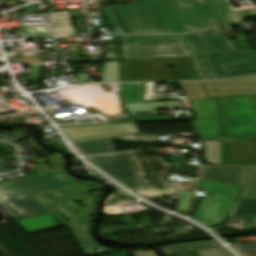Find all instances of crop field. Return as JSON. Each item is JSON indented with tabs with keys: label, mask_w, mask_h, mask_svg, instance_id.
<instances>
[{
	"label": "crop field",
	"mask_w": 256,
	"mask_h": 256,
	"mask_svg": "<svg viewBox=\"0 0 256 256\" xmlns=\"http://www.w3.org/2000/svg\"><path fill=\"white\" fill-rule=\"evenodd\" d=\"M84 155L115 152L110 140L75 145Z\"/></svg>",
	"instance_id": "bc2a9ffb"
},
{
	"label": "crop field",
	"mask_w": 256,
	"mask_h": 256,
	"mask_svg": "<svg viewBox=\"0 0 256 256\" xmlns=\"http://www.w3.org/2000/svg\"><path fill=\"white\" fill-rule=\"evenodd\" d=\"M147 174H148V178L151 186L160 184L157 172H152Z\"/></svg>",
	"instance_id": "ae1a2a85"
},
{
	"label": "crop field",
	"mask_w": 256,
	"mask_h": 256,
	"mask_svg": "<svg viewBox=\"0 0 256 256\" xmlns=\"http://www.w3.org/2000/svg\"><path fill=\"white\" fill-rule=\"evenodd\" d=\"M191 122L202 140L221 138L219 119Z\"/></svg>",
	"instance_id": "d9b57169"
},
{
	"label": "crop field",
	"mask_w": 256,
	"mask_h": 256,
	"mask_svg": "<svg viewBox=\"0 0 256 256\" xmlns=\"http://www.w3.org/2000/svg\"><path fill=\"white\" fill-rule=\"evenodd\" d=\"M250 167H203L202 179L242 187Z\"/></svg>",
	"instance_id": "28ad6ade"
},
{
	"label": "crop field",
	"mask_w": 256,
	"mask_h": 256,
	"mask_svg": "<svg viewBox=\"0 0 256 256\" xmlns=\"http://www.w3.org/2000/svg\"><path fill=\"white\" fill-rule=\"evenodd\" d=\"M204 86L210 97L256 95V78L207 81Z\"/></svg>",
	"instance_id": "3316defc"
},
{
	"label": "crop field",
	"mask_w": 256,
	"mask_h": 256,
	"mask_svg": "<svg viewBox=\"0 0 256 256\" xmlns=\"http://www.w3.org/2000/svg\"><path fill=\"white\" fill-rule=\"evenodd\" d=\"M141 196L148 198V197H154V196H160V195H168V194H174V187L173 186H165L163 189L158 190L157 188L147 189V190H139L136 191Z\"/></svg>",
	"instance_id": "a9b5d70f"
},
{
	"label": "crop field",
	"mask_w": 256,
	"mask_h": 256,
	"mask_svg": "<svg viewBox=\"0 0 256 256\" xmlns=\"http://www.w3.org/2000/svg\"><path fill=\"white\" fill-rule=\"evenodd\" d=\"M216 246H220V245L215 240H211V241H204V242L184 244V245L164 246L159 248L164 251L166 256H176V255L192 252L193 249L216 247Z\"/></svg>",
	"instance_id": "733c2abd"
},
{
	"label": "crop field",
	"mask_w": 256,
	"mask_h": 256,
	"mask_svg": "<svg viewBox=\"0 0 256 256\" xmlns=\"http://www.w3.org/2000/svg\"><path fill=\"white\" fill-rule=\"evenodd\" d=\"M97 141V140H96ZM86 142H90V141H86ZM78 143H84V142H78ZM78 143H75V144H78Z\"/></svg>",
	"instance_id": "1d83c4d3"
},
{
	"label": "crop field",
	"mask_w": 256,
	"mask_h": 256,
	"mask_svg": "<svg viewBox=\"0 0 256 256\" xmlns=\"http://www.w3.org/2000/svg\"><path fill=\"white\" fill-rule=\"evenodd\" d=\"M167 146H172V147H182V148H190L188 144H168Z\"/></svg>",
	"instance_id": "bd1437ed"
},
{
	"label": "crop field",
	"mask_w": 256,
	"mask_h": 256,
	"mask_svg": "<svg viewBox=\"0 0 256 256\" xmlns=\"http://www.w3.org/2000/svg\"><path fill=\"white\" fill-rule=\"evenodd\" d=\"M28 233L60 226L50 214L17 221Z\"/></svg>",
	"instance_id": "22f410ed"
},
{
	"label": "crop field",
	"mask_w": 256,
	"mask_h": 256,
	"mask_svg": "<svg viewBox=\"0 0 256 256\" xmlns=\"http://www.w3.org/2000/svg\"><path fill=\"white\" fill-rule=\"evenodd\" d=\"M173 165H187L186 157H173Z\"/></svg>",
	"instance_id": "d3111659"
},
{
	"label": "crop field",
	"mask_w": 256,
	"mask_h": 256,
	"mask_svg": "<svg viewBox=\"0 0 256 256\" xmlns=\"http://www.w3.org/2000/svg\"><path fill=\"white\" fill-rule=\"evenodd\" d=\"M199 168L197 167H174L173 171L179 173L197 174Z\"/></svg>",
	"instance_id": "eef30255"
},
{
	"label": "crop field",
	"mask_w": 256,
	"mask_h": 256,
	"mask_svg": "<svg viewBox=\"0 0 256 256\" xmlns=\"http://www.w3.org/2000/svg\"><path fill=\"white\" fill-rule=\"evenodd\" d=\"M181 33L237 24L256 8L229 12L222 0H148L103 8L115 33Z\"/></svg>",
	"instance_id": "8a807250"
},
{
	"label": "crop field",
	"mask_w": 256,
	"mask_h": 256,
	"mask_svg": "<svg viewBox=\"0 0 256 256\" xmlns=\"http://www.w3.org/2000/svg\"><path fill=\"white\" fill-rule=\"evenodd\" d=\"M256 165V137L224 140V165Z\"/></svg>",
	"instance_id": "5a996713"
},
{
	"label": "crop field",
	"mask_w": 256,
	"mask_h": 256,
	"mask_svg": "<svg viewBox=\"0 0 256 256\" xmlns=\"http://www.w3.org/2000/svg\"><path fill=\"white\" fill-rule=\"evenodd\" d=\"M194 55L185 35L183 36H124V60L165 58Z\"/></svg>",
	"instance_id": "f4fd0767"
},
{
	"label": "crop field",
	"mask_w": 256,
	"mask_h": 256,
	"mask_svg": "<svg viewBox=\"0 0 256 256\" xmlns=\"http://www.w3.org/2000/svg\"><path fill=\"white\" fill-rule=\"evenodd\" d=\"M233 247H235L244 256H256V243L235 245Z\"/></svg>",
	"instance_id": "730fd06b"
},
{
	"label": "crop field",
	"mask_w": 256,
	"mask_h": 256,
	"mask_svg": "<svg viewBox=\"0 0 256 256\" xmlns=\"http://www.w3.org/2000/svg\"><path fill=\"white\" fill-rule=\"evenodd\" d=\"M196 120L219 118L214 99L190 100Z\"/></svg>",
	"instance_id": "cbeb9de0"
},
{
	"label": "crop field",
	"mask_w": 256,
	"mask_h": 256,
	"mask_svg": "<svg viewBox=\"0 0 256 256\" xmlns=\"http://www.w3.org/2000/svg\"><path fill=\"white\" fill-rule=\"evenodd\" d=\"M130 189L149 186L133 152L88 158Z\"/></svg>",
	"instance_id": "e52e79f7"
},
{
	"label": "crop field",
	"mask_w": 256,
	"mask_h": 256,
	"mask_svg": "<svg viewBox=\"0 0 256 256\" xmlns=\"http://www.w3.org/2000/svg\"><path fill=\"white\" fill-rule=\"evenodd\" d=\"M235 201L209 195L203 198L193 218L209 227L225 221Z\"/></svg>",
	"instance_id": "d8731c3e"
},
{
	"label": "crop field",
	"mask_w": 256,
	"mask_h": 256,
	"mask_svg": "<svg viewBox=\"0 0 256 256\" xmlns=\"http://www.w3.org/2000/svg\"><path fill=\"white\" fill-rule=\"evenodd\" d=\"M192 198L193 192L179 191L177 211L180 213L188 214Z\"/></svg>",
	"instance_id": "00972430"
},
{
	"label": "crop field",
	"mask_w": 256,
	"mask_h": 256,
	"mask_svg": "<svg viewBox=\"0 0 256 256\" xmlns=\"http://www.w3.org/2000/svg\"><path fill=\"white\" fill-rule=\"evenodd\" d=\"M201 80L256 75V54L246 38L228 41L221 29L186 34Z\"/></svg>",
	"instance_id": "ac0d7876"
},
{
	"label": "crop field",
	"mask_w": 256,
	"mask_h": 256,
	"mask_svg": "<svg viewBox=\"0 0 256 256\" xmlns=\"http://www.w3.org/2000/svg\"><path fill=\"white\" fill-rule=\"evenodd\" d=\"M200 187L204 188L209 194L230 198L234 200H237V198L235 197L239 195L241 190L240 188H234L231 186H227V185H223V184H219L211 181L201 182Z\"/></svg>",
	"instance_id": "4a817a6b"
},
{
	"label": "crop field",
	"mask_w": 256,
	"mask_h": 256,
	"mask_svg": "<svg viewBox=\"0 0 256 256\" xmlns=\"http://www.w3.org/2000/svg\"><path fill=\"white\" fill-rule=\"evenodd\" d=\"M188 99L207 98L200 82L179 83Z\"/></svg>",
	"instance_id": "92a150f3"
},
{
	"label": "crop field",
	"mask_w": 256,
	"mask_h": 256,
	"mask_svg": "<svg viewBox=\"0 0 256 256\" xmlns=\"http://www.w3.org/2000/svg\"><path fill=\"white\" fill-rule=\"evenodd\" d=\"M240 198H256V167H252Z\"/></svg>",
	"instance_id": "dafd665d"
},
{
	"label": "crop field",
	"mask_w": 256,
	"mask_h": 256,
	"mask_svg": "<svg viewBox=\"0 0 256 256\" xmlns=\"http://www.w3.org/2000/svg\"><path fill=\"white\" fill-rule=\"evenodd\" d=\"M101 186L93 182L77 184L57 190H48L31 194V196L50 214L58 219L63 225L70 228L75 239L86 255L96 254L98 245L91 239V223L81 225L69 213H67L55 201L88 193L87 190L100 188Z\"/></svg>",
	"instance_id": "412701ff"
},
{
	"label": "crop field",
	"mask_w": 256,
	"mask_h": 256,
	"mask_svg": "<svg viewBox=\"0 0 256 256\" xmlns=\"http://www.w3.org/2000/svg\"><path fill=\"white\" fill-rule=\"evenodd\" d=\"M256 216V199H239L229 219Z\"/></svg>",
	"instance_id": "214f88e0"
},
{
	"label": "crop field",
	"mask_w": 256,
	"mask_h": 256,
	"mask_svg": "<svg viewBox=\"0 0 256 256\" xmlns=\"http://www.w3.org/2000/svg\"><path fill=\"white\" fill-rule=\"evenodd\" d=\"M45 144H50L51 146H57V145H63L64 143L62 140H53V141L45 142Z\"/></svg>",
	"instance_id": "750c4746"
},
{
	"label": "crop field",
	"mask_w": 256,
	"mask_h": 256,
	"mask_svg": "<svg viewBox=\"0 0 256 256\" xmlns=\"http://www.w3.org/2000/svg\"><path fill=\"white\" fill-rule=\"evenodd\" d=\"M101 189V188H100ZM97 190V189H95ZM89 194L58 201L57 203L61 205L67 212H69L75 219H77L81 224L91 222V215L94 212L98 198ZM80 201L86 207L82 208L76 202Z\"/></svg>",
	"instance_id": "d1516ede"
},
{
	"label": "crop field",
	"mask_w": 256,
	"mask_h": 256,
	"mask_svg": "<svg viewBox=\"0 0 256 256\" xmlns=\"http://www.w3.org/2000/svg\"><path fill=\"white\" fill-rule=\"evenodd\" d=\"M63 170L0 184V206L15 220L47 214L29 194L48 189L77 184Z\"/></svg>",
	"instance_id": "34b2d1b8"
},
{
	"label": "crop field",
	"mask_w": 256,
	"mask_h": 256,
	"mask_svg": "<svg viewBox=\"0 0 256 256\" xmlns=\"http://www.w3.org/2000/svg\"><path fill=\"white\" fill-rule=\"evenodd\" d=\"M198 256H232L223 247L214 249L196 250Z\"/></svg>",
	"instance_id": "4177f3b9"
},
{
	"label": "crop field",
	"mask_w": 256,
	"mask_h": 256,
	"mask_svg": "<svg viewBox=\"0 0 256 256\" xmlns=\"http://www.w3.org/2000/svg\"><path fill=\"white\" fill-rule=\"evenodd\" d=\"M254 218V220H255V222H256V217H253Z\"/></svg>",
	"instance_id": "120bbe31"
},
{
	"label": "crop field",
	"mask_w": 256,
	"mask_h": 256,
	"mask_svg": "<svg viewBox=\"0 0 256 256\" xmlns=\"http://www.w3.org/2000/svg\"><path fill=\"white\" fill-rule=\"evenodd\" d=\"M223 138L256 135V97L217 99Z\"/></svg>",
	"instance_id": "dd49c442"
},
{
	"label": "crop field",
	"mask_w": 256,
	"mask_h": 256,
	"mask_svg": "<svg viewBox=\"0 0 256 256\" xmlns=\"http://www.w3.org/2000/svg\"><path fill=\"white\" fill-rule=\"evenodd\" d=\"M55 36H75V28L71 26L69 12L51 13Z\"/></svg>",
	"instance_id": "5142ce71"
}]
</instances>
